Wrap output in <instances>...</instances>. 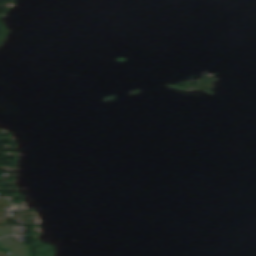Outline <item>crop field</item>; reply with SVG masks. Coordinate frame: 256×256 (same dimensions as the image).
I'll list each match as a JSON object with an SVG mask.
<instances>
[{"label": "crop field", "mask_w": 256, "mask_h": 256, "mask_svg": "<svg viewBox=\"0 0 256 256\" xmlns=\"http://www.w3.org/2000/svg\"><path fill=\"white\" fill-rule=\"evenodd\" d=\"M0 249L8 251L10 256H30L27 245L15 243L10 237L0 239Z\"/></svg>", "instance_id": "crop-field-1"}, {"label": "crop field", "mask_w": 256, "mask_h": 256, "mask_svg": "<svg viewBox=\"0 0 256 256\" xmlns=\"http://www.w3.org/2000/svg\"><path fill=\"white\" fill-rule=\"evenodd\" d=\"M13 233V227H3L0 228V237L1 236H5V235H9Z\"/></svg>", "instance_id": "crop-field-2"}]
</instances>
